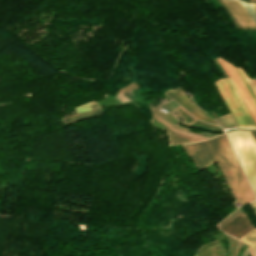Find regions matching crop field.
<instances>
[{
	"label": "crop field",
	"instance_id": "obj_1",
	"mask_svg": "<svg viewBox=\"0 0 256 256\" xmlns=\"http://www.w3.org/2000/svg\"><path fill=\"white\" fill-rule=\"evenodd\" d=\"M206 143L223 172L232 194L241 205L256 200L225 136L206 140Z\"/></svg>",
	"mask_w": 256,
	"mask_h": 256
},
{
	"label": "crop field",
	"instance_id": "obj_2",
	"mask_svg": "<svg viewBox=\"0 0 256 256\" xmlns=\"http://www.w3.org/2000/svg\"><path fill=\"white\" fill-rule=\"evenodd\" d=\"M256 195V144L249 131L226 133Z\"/></svg>",
	"mask_w": 256,
	"mask_h": 256
},
{
	"label": "crop field",
	"instance_id": "obj_3",
	"mask_svg": "<svg viewBox=\"0 0 256 256\" xmlns=\"http://www.w3.org/2000/svg\"><path fill=\"white\" fill-rule=\"evenodd\" d=\"M240 128H256L230 77L215 82Z\"/></svg>",
	"mask_w": 256,
	"mask_h": 256
},
{
	"label": "crop field",
	"instance_id": "obj_4",
	"mask_svg": "<svg viewBox=\"0 0 256 256\" xmlns=\"http://www.w3.org/2000/svg\"><path fill=\"white\" fill-rule=\"evenodd\" d=\"M218 62L221 64V66L225 69V71L228 73V75L231 77L236 89L238 90L243 102L245 103L250 115L252 116L255 124H256V107L249 96L245 86L243 85L239 75L236 73V71L233 69V67L227 63H225L220 58H216Z\"/></svg>",
	"mask_w": 256,
	"mask_h": 256
},
{
	"label": "crop field",
	"instance_id": "obj_5",
	"mask_svg": "<svg viewBox=\"0 0 256 256\" xmlns=\"http://www.w3.org/2000/svg\"><path fill=\"white\" fill-rule=\"evenodd\" d=\"M172 99L178 102L181 106H183L188 112H190L194 117L200 120H204L210 122L212 124L217 125V123L212 120L207 113L203 112L202 110L198 109L181 91L179 87L175 89H170L166 92Z\"/></svg>",
	"mask_w": 256,
	"mask_h": 256
},
{
	"label": "crop field",
	"instance_id": "obj_6",
	"mask_svg": "<svg viewBox=\"0 0 256 256\" xmlns=\"http://www.w3.org/2000/svg\"><path fill=\"white\" fill-rule=\"evenodd\" d=\"M183 148L199 169L212 164L214 161L204 141L184 145Z\"/></svg>",
	"mask_w": 256,
	"mask_h": 256
},
{
	"label": "crop field",
	"instance_id": "obj_7",
	"mask_svg": "<svg viewBox=\"0 0 256 256\" xmlns=\"http://www.w3.org/2000/svg\"><path fill=\"white\" fill-rule=\"evenodd\" d=\"M244 29H256V24L239 0H222Z\"/></svg>",
	"mask_w": 256,
	"mask_h": 256
},
{
	"label": "crop field",
	"instance_id": "obj_8",
	"mask_svg": "<svg viewBox=\"0 0 256 256\" xmlns=\"http://www.w3.org/2000/svg\"><path fill=\"white\" fill-rule=\"evenodd\" d=\"M103 114V112L98 109V110H94V111H89V112H84L81 114H76L73 116H69V117H65L60 119L62 121V123L64 125L76 122V121H80V120H84V119H88V118H92V117H96Z\"/></svg>",
	"mask_w": 256,
	"mask_h": 256
},
{
	"label": "crop field",
	"instance_id": "obj_9",
	"mask_svg": "<svg viewBox=\"0 0 256 256\" xmlns=\"http://www.w3.org/2000/svg\"><path fill=\"white\" fill-rule=\"evenodd\" d=\"M255 214H256V201L250 203ZM242 242L245 244L249 245L255 252H256V229L252 230L248 234H246L244 237L241 239Z\"/></svg>",
	"mask_w": 256,
	"mask_h": 256
},
{
	"label": "crop field",
	"instance_id": "obj_10",
	"mask_svg": "<svg viewBox=\"0 0 256 256\" xmlns=\"http://www.w3.org/2000/svg\"><path fill=\"white\" fill-rule=\"evenodd\" d=\"M223 129L229 128V127H237L235 121L233 120L231 114L221 116L219 118L215 119Z\"/></svg>",
	"mask_w": 256,
	"mask_h": 256
},
{
	"label": "crop field",
	"instance_id": "obj_11",
	"mask_svg": "<svg viewBox=\"0 0 256 256\" xmlns=\"http://www.w3.org/2000/svg\"><path fill=\"white\" fill-rule=\"evenodd\" d=\"M80 107H81L82 111H88L91 109L99 108L98 105L94 101L82 104V105H80ZM80 107L79 106L74 107V110L76 111V113L82 112Z\"/></svg>",
	"mask_w": 256,
	"mask_h": 256
},
{
	"label": "crop field",
	"instance_id": "obj_12",
	"mask_svg": "<svg viewBox=\"0 0 256 256\" xmlns=\"http://www.w3.org/2000/svg\"><path fill=\"white\" fill-rule=\"evenodd\" d=\"M234 69H235V70L237 71V73L240 75V77H241V79H242L244 85L246 86V88H247V90H248L250 96L252 97V99H253V101H254V103H255V105H256V98H255L253 92L251 91V89H250L248 83L246 82V80H245L243 74L240 72V70H238V69H236V68H234Z\"/></svg>",
	"mask_w": 256,
	"mask_h": 256
},
{
	"label": "crop field",
	"instance_id": "obj_13",
	"mask_svg": "<svg viewBox=\"0 0 256 256\" xmlns=\"http://www.w3.org/2000/svg\"><path fill=\"white\" fill-rule=\"evenodd\" d=\"M241 71H242V70H241ZM242 73L244 74V76H245L247 82L249 83V85H250L252 91L254 92V94H255V96H256V81L250 80V79L246 76V74H245L243 71H242Z\"/></svg>",
	"mask_w": 256,
	"mask_h": 256
},
{
	"label": "crop field",
	"instance_id": "obj_14",
	"mask_svg": "<svg viewBox=\"0 0 256 256\" xmlns=\"http://www.w3.org/2000/svg\"><path fill=\"white\" fill-rule=\"evenodd\" d=\"M250 132H251V134H252V136H253V138H254V140L256 142V131H250Z\"/></svg>",
	"mask_w": 256,
	"mask_h": 256
},
{
	"label": "crop field",
	"instance_id": "obj_15",
	"mask_svg": "<svg viewBox=\"0 0 256 256\" xmlns=\"http://www.w3.org/2000/svg\"><path fill=\"white\" fill-rule=\"evenodd\" d=\"M252 4V3H251ZM252 6L255 8V10H256V4H252Z\"/></svg>",
	"mask_w": 256,
	"mask_h": 256
}]
</instances>
